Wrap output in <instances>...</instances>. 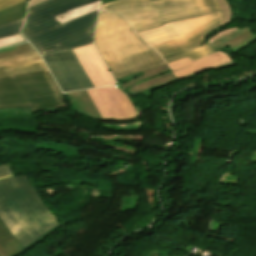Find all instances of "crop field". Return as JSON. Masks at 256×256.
I'll return each mask as SVG.
<instances>
[{
  "label": "crop field",
  "mask_w": 256,
  "mask_h": 256,
  "mask_svg": "<svg viewBox=\"0 0 256 256\" xmlns=\"http://www.w3.org/2000/svg\"><path fill=\"white\" fill-rule=\"evenodd\" d=\"M77 59L83 66L84 70L86 71L87 75L89 76L91 82L93 83L94 87L103 86L99 76L95 72L94 68L90 64L89 60L87 59L82 47L73 50Z\"/></svg>",
  "instance_id": "15"
},
{
  "label": "crop field",
  "mask_w": 256,
  "mask_h": 256,
  "mask_svg": "<svg viewBox=\"0 0 256 256\" xmlns=\"http://www.w3.org/2000/svg\"><path fill=\"white\" fill-rule=\"evenodd\" d=\"M61 106L63 98L49 70L0 79V109Z\"/></svg>",
  "instance_id": "6"
},
{
  "label": "crop field",
  "mask_w": 256,
  "mask_h": 256,
  "mask_svg": "<svg viewBox=\"0 0 256 256\" xmlns=\"http://www.w3.org/2000/svg\"><path fill=\"white\" fill-rule=\"evenodd\" d=\"M41 56L62 92L93 87L72 50Z\"/></svg>",
  "instance_id": "7"
},
{
  "label": "crop field",
  "mask_w": 256,
  "mask_h": 256,
  "mask_svg": "<svg viewBox=\"0 0 256 256\" xmlns=\"http://www.w3.org/2000/svg\"><path fill=\"white\" fill-rule=\"evenodd\" d=\"M143 73V75L121 84V88L135 96L153 86H156L159 89L177 80L167 65Z\"/></svg>",
  "instance_id": "9"
},
{
  "label": "crop field",
  "mask_w": 256,
  "mask_h": 256,
  "mask_svg": "<svg viewBox=\"0 0 256 256\" xmlns=\"http://www.w3.org/2000/svg\"><path fill=\"white\" fill-rule=\"evenodd\" d=\"M224 25L220 12L173 21L137 32L165 62L183 57L197 59L213 52L204 39L210 30Z\"/></svg>",
  "instance_id": "4"
},
{
  "label": "crop field",
  "mask_w": 256,
  "mask_h": 256,
  "mask_svg": "<svg viewBox=\"0 0 256 256\" xmlns=\"http://www.w3.org/2000/svg\"><path fill=\"white\" fill-rule=\"evenodd\" d=\"M23 19L1 25L0 26V38L19 33V29L23 23Z\"/></svg>",
  "instance_id": "18"
},
{
  "label": "crop field",
  "mask_w": 256,
  "mask_h": 256,
  "mask_svg": "<svg viewBox=\"0 0 256 256\" xmlns=\"http://www.w3.org/2000/svg\"><path fill=\"white\" fill-rule=\"evenodd\" d=\"M112 1H116V0H102V4L109 3V2H112Z\"/></svg>",
  "instance_id": "28"
},
{
  "label": "crop field",
  "mask_w": 256,
  "mask_h": 256,
  "mask_svg": "<svg viewBox=\"0 0 256 256\" xmlns=\"http://www.w3.org/2000/svg\"><path fill=\"white\" fill-rule=\"evenodd\" d=\"M0 256H7L6 253L2 250L1 247H0Z\"/></svg>",
  "instance_id": "27"
},
{
  "label": "crop field",
  "mask_w": 256,
  "mask_h": 256,
  "mask_svg": "<svg viewBox=\"0 0 256 256\" xmlns=\"http://www.w3.org/2000/svg\"><path fill=\"white\" fill-rule=\"evenodd\" d=\"M45 69L37 51L0 59V78Z\"/></svg>",
  "instance_id": "11"
},
{
  "label": "crop field",
  "mask_w": 256,
  "mask_h": 256,
  "mask_svg": "<svg viewBox=\"0 0 256 256\" xmlns=\"http://www.w3.org/2000/svg\"><path fill=\"white\" fill-rule=\"evenodd\" d=\"M88 59L92 63L93 67L97 71L98 75L100 76L104 86L112 85L114 84L113 79L104 64L103 60L99 56L94 44L84 46L83 47Z\"/></svg>",
  "instance_id": "13"
},
{
  "label": "crop field",
  "mask_w": 256,
  "mask_h": 256,
  "mask_svg": "<svg viewBox=\"0 0 256 256\" xmlns=\"http://www.w3.org/2000/svg\"><path fill=\"white\" fill-rule=\"evenodd\" d=\"M99 3H100V1L90 4V5H87V6H84V7H81V8H78V9L68 11L67 13H65L63 15L56 17V20L59 23V25L64 24L66 22H69L73 19H76V18L81 17L91 11L98 9Z\"/></svg>",
  "instance_id": "16"
},
{
  "label": "crop field",
  "mask_w": 256,
  "mask_h": 256,
  "mask_svg": "<svg viewBox=\"0 0 256 256\" xmlns=\"http://www.w3.org/2000/svg\"><path fill=\"white\" fill-rule=\"evenodd\" d=\"M87 92L103 119L126 120L140 115L117 85L89 89Z\"/></svg>",
  "instance_id": "8"
},
{
  "label": "crop field",
  "mask_w": 256,
  "mask_h": 256,
  "mask_svg": "<svg viewBox=\"0 0 256 256\" xmlns=\"http://www.w3.org/2000/svg\"><path fill=\"white\" fill-rule=\"evenodd\" d=\"M44 1H47V0H30L28 8L31 7V6H34L36 4H39L41 2H44Z\"/></svg>",
  "instance_id": "26"
},
{
  "label": "crop field",
  "mask_w": 256,
  "mask_h": 256,
  "mask_svg": "<svg viewBox=\"0 0 256 256\" xmlns=\"http://www.w3.org/2000/svg\"><path fill=\"white\" fill-rule=\"evenodd\" d=\"M217 1L221 9L224 23L227 24L231 19V10L229 8V4L227 3L226 0H217Z\"/></svg>",
  "instance_id": "21"
},
{
  "label": "crop field",
  "mask_w": 256,
  "mask_h": 256,
  "mask_svg": "<svg viewBox=\"0 0 256 256\" xmlns=\"http://www.w3.org/2000/svg\"><path fill=\"white\" fill-rule=\"evenodd\" d=\"M0 219L24 247L59 224L27 175L0 181Z\"/></svg>",
  "instance_id": "3"
},
{
  "label": "crop field",
  "mask_w": 256,
  "mask_h": 256,
  "mask_svg": "<svg viewBox=\"0 0 256 256\" xmlns=\"http://www.w3.org/2000/svg\"><path fill=\"white\" fill-rule=\"evenodd\" d=\"M16 48H17V50H14V51L0 53V58L7 57V56H12V55H16V54H21V53H25V52H30V51L35 50L29 43L17 45Z\"/></svg>",
  "instance_id": "19"
},
{
  "label": "crop field",
  "mask_w": 256,
  "mask_h": 256,
  "mask_svg": "<svg viewBox=\"0 0 256 256\" xmlns=\"http://www.w3.org/2000/svg\"><path fill=\"white\" fill-rule=\"evenodd\" d=\"M255 40H256V34L251 31H248L215 49L218 50L220 48L228 46L230 49H232L236 53L240 49L251 45Z\"/></svg>",
  "instance_id": "14"
},
{
  "label": "crop field",
  "mask_w": 256,
  "mask_h": 256,
  "mask_svg": "<svg viewBox=\"0 0 256 256\" xmlns=\"http://www.w3.org/2000/svg\"><path fill=\"white\" fill-rule=\"evenodd\" d=\"M25 0H0V10L19 4Z\"/></svg>",
  "instance_id": "22"
},
{
  "label": "crop field",
  "mask_w": 256,
  "mask_h": 256,
  "mask_svg": "<svg viewBox=\"0 0 256 256\" xmlns=\"http://www.w3.org/2000/svg\"><path fill=\"white\" fill-rule=\"evenodd\" d=\"M237 64L238 63H236L224 52L218 51L197 61H193L191 63L172 68L171 70L174 72L176 78L179 80L183 78L188 79L194 77L195 73L204 70L220 69Z\"/></svg>",
  "instance_id": "10"
},
{
  "label": "crop field",
  "mask_w": 256,
  "mask_h": 256,
  "mask_svg": "<svg viewBox=\"0 0 256 256\" xmlns=\"http://www.w3.org/2000/svg\"><path fill=\"white\" fill-rule=\"evenodd\" d=\"M99 0H49L28 9L21 33L40 54L91 44L97 10L59 26L54 17Z\"/></svg>",
  "instance_id": "1"
},
{
  "label": "crop field",
  "mask_w": 256,
  "mask_h": 256,
  "mask_svg": "<svg viewBox=\"0 0 256 256\" xmlns=\"http://www.w3.org/2000/svg\"><path fill=\"white\" fill-rule=\"evenodd\" d=\"M26 42V39L22 37V35L17 34L14 36H10V37H6V38H1L0 39V48L1 47H5V46H9L12 44H17V43H23Z\"/></svg>",
  "instance_id": "20"
},
{
  "label": "crop field",
  "mask_w": 256,
  "mask_h": 256,
  "mask_svg": "<svg viewBox=\"0 0 256 256\" xmlns=\"http://www.w3.org/2000/svg\"><path fill=\"white\" fill-rule=\"evenodd\" d=\"M11 174H13V172L10 168L9 163L0 165V177L11 175Z\"/></svg>",
  "instance_id": "23"
},
{
  "label": "crop field",
  "mask_w": 256,
  "mask_h": 256,
  "mask_svg": "<svg viewBox=\"0 0 256 256\" xmlns=\"http://www.w3.org/2000/svg\"><path fill=\"white\" fill-rule=\"evenodd\" d=\"M62 227L61 224L46 233L42 238L36 240L30 246L24 248L15 236L9 231V229L0 221V246L4 249L8 256H17L24 250L28 249L29 247L33 246L37 242L43 240L49 233L52 231Z\"/></svg>",
  "instance_id": "12"
},
{
  "label": "crop field",
  "mask_w": 256,
  "mask_h": 256,
  "mask_svg": "<svg viewBox=\"0 0 256 256\" xmlns=\"http://www.w3.org/2000/svg\"><path fill=\"white\" fill-rule=\"evenodd\" d=\"M27 1L0 11V24L23 18L26 11Z\"/></svg>",
  "instance_id": "17"
},
{
  "label": "crop field",
  "mask_w": 256,
  "mask_h": 256,
  "mask_svg": "<svg viewBox=\"0 0 256 256\" xmlns=\"http://www.w3.org/2000/svg\"><path fill=\"white\" fill-rule=\"evenodd\" d=\"M188 62H191L190 60L184 58V59H181V60H178V61H175V62H172V63H169L167 64L170 68L172 67H175V66H178V65H181V64H185V63H188Z\"/></svg>",
  "instance_id": "25"
},
{
  "label": "crop field",
  "mask_w": 256,
  "mask_h": 256,
  "mask_svg": "<svg viewBox=\"0 0 256 256\" xmlns=\"http://www.w3.org/2000/svg\"><path fill=\"white\" fill-rule=\"evenodd\" d=\"M238 28H239V27H235V28L227 29V30H225V31H222V32H220V33H217L216 35H214L213 37H211L210 39H208V43H210V42H212V41H214V40H216V39H218V38H220V37H222V36H224V35H226V34L232 32V31H234V30H236V29H238Z\"/></svg>",
  "instance_id": "24"
},
{
  "label": "crop field",
  "mask_w": 256,
  "mask_h": 256,
  "mask_svg": "<svg viewBox=\"0 0 256 256\" xmlns=\"http://www.w3.org/2000/svg\"><path fill=\"white\" fill-rule=\"evenodd\" d=\"M94 42L115 80L165 64L116 13L99 12Z\"/></svg>",
  "instance_id": "2"
},
{
  "label": "crop field",
  "mask_w": 256,
  "mask_h": 256,
  "mask_svg": "<svg viewBox=\"0 0 256 256\" xmlns=\"http://www.w3.org/2000/svg\"><path fill=\"white\" fill-rule=\"evenodd\" d=\"M11 176H14V174L11 175ZM11 176H7V177L0 178V180L5 179V178H8V177H11Z\"/></svg>",
  "instance_id": "29"
},
{
  "label": "crop field",
  "mask_w": 256,
  "mask_h": 256,
  "mask_svg": "<svg viewBox=\"0 0 256 256\" xmlns=\"http://www.w3.org/2000/svg\"><path fill=\"white\" fill-rule=\"evenodd\" d=\"M100 10L122 14L137 32L220 9L216 0H120L102 5Z\"/></svg>",
  "instance_id": "5"
}]
</instances>
